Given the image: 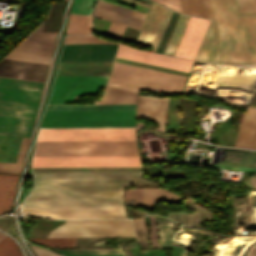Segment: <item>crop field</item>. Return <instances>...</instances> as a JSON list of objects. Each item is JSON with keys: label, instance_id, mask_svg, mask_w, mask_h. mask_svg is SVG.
<instances>
[{"label": "crop field", "instance_id": "22f410ed", "mask_svg": "<svg viewBox=\"0 0 256 256\" xmlns=\"http://www.w3.org/2000/svg\"><path fill=\"white\" fill-rule=\"evenodd\" d=\"M116 56L173 69L190 71L193 61L161 55L119 44Z\"/></svg>", "mask_w": 256, "mask_h": 256}, {"label": "crop field", "instance_id": "214f88e0", "mask_svg": "<svg viewBox=\"0 0 256 256\" xmlns=\"http://www.w3.org/2000/svg\"><path fill=\"white\" fill-rule=\"evenodd\" d=\"M56 35L33 32L13 51L51 56Z\"/></svg>", "mask_w": 256, "mask_h": 256}, {"label": "crop field", "instance_id": "d1516ede", "mask_svg": "<svg viewBox=\"0 0 256 256\" xmlns=\"http://www.w3.org/2000/svg\"><path fill=\"white\" fill-rule=\"evenodd\" d=\"M171 12L153 2L136 43L152 46L155 51Z\"/></svg>", "mask_w": 256, "mask_h": 256}, {"label": "crop field", "instance_id": "412701ff", "mask_svg": "<svg viewBox=\"0 0 256 256\" xmlns=\"http://www.w3.org/2000/svg\"><path fill=\"white\" fill-rule=\"evenodd\" d=\"M137 155L136 141L37 142L34 156Z\"/></svg>", "mask_w": 256, "mask_h": 256}, {"label": "crop field", "instance_id": "dafd665d", "mask_svg": "<svg viewBox=\"0 0 256 256\" xmlns=\"http://www.w3.org/2000/svg\"><path fill=\"white\" fill-rule=\"evenodd\" d=\"M194 60L220 64L212 22L210 21Z\"/></svg>", "mask_w": 256, "mask_h": 256}, {"label": "crop field", "instance_id": "00972430", "mask_svg": "<svg viewBox=\"0 0 256 256\" xmlns=\"http://www.w3.org/2000/svg\"><path fill=\"white\" fill-rule=\"evenodd\" d=\"M157 226L160 233V240L163 249L174 248L173 256H186L187 251L181 246L171 245L172 221L156 216Z\"/></svg>", "mask_w": 256, "mask_h": 256}, {"label": "crop field", "instance_id": "ae1a2a85", "mask_svg": "<svg viewBox=\"0 0 256 256\" xmlns=\"http://www.w3.org/2000/svg\"><path fill=\"white\" fill-rule=\"evenodd\" d=\"M91 16L70 14L65 34H90Z\"/></svg>", "mask_w": 256, "mask_h": 256}, {"label": "crop field", "instance_id": "e52e79f7", "mask_svg": "<svg viewBox=\"0 0 256 256\" xmlns=\"http://www.w3.org/2000/svg\"><path fill=\"white\" fill-rule=\"evenodd\" d=\"M49 237H135L130 220L66 221Z\"/></svg>", "mask_w": 256, "mask_h": 256}, {"label": "crop field", "instance_id": "f4fd0767", "mask_svg": "<svg viewBox=\"0 0 256 256\" xmlns=\"http://www.w3.org/2000/svg\"><path fill=\"white\" fill-rule=\"evenodd\" d=\"M135 111L46 112L41 127L135 126Z\"/></svg>", "mask_w": 256, "mask_h": 256}, {"label": "crop field", "instance_id": "5142ce71", "mask_svg": "<svg viewBox=\"0 0 256 256\" xmlns=\"http://www.w3.org/2000/svg\"><path fill=\"white\" fill-rule=\"evenodd\" d=\"M47 66L45 64L2 59L0 61V76L43 82Z\"/></svg>", "mask_w": 256, "mask_h": 256}, {"label": "crop field", "instance_id": "e1f06a70", "mask_svg": "<svg viewBox=\"0 0 256 256\" xmlns=\"http://www.w3.org/2000/svg\"><path fill=\"white\" fill-rule=\"evenodd\" d=\"M125 28H126L125 26L118 25L111 22L106 35L120 39Z\"/></svg>", "mask_w": 256, "mask_h": 256}, {"label": "crop field", "instance_id": "730fd06b", "mask_svg": "<svg viewBox=\"0 0 256 256\" xmlns=\"http://www.w3.org/2000/svg\"><path fill=\"white\" fill-rule=\"evenodd\" d=\"M185 14L212 19L209 0H180Z\"/></svg>", "mask_w": 256, "mask_h": 256}, {"label": "crop field", "instance_id": "c21b1889", "mask_svg": "<svg viewBox=\"0 0 256 256\" xmlns=\"http://www.w3.org/2000/svg\"><path fill=\"white\" fill-rule=\"evenodd\" d=\"M65 256H124L123 254H92V255H65Z\"/></svg>", "mask_w": 256, "mask_h": 256}, {"label": "crop field", "instance_id": "d32e631a", "mask_svg": "<svg viewBox=\"0 0 256 256\" xmlns=\"http://www.w3.org/2000/svg\"><path fill=\"white\" fill-rule=\"evenodd\" d=\"M5 58L6 59H14V60H22V61H29V62H37V63L48 64L50 57L11 52Z\"/></svg>", "mask_w": 256, "mask_h": 256}, {"label": "crop field", "instance_id": "28ad6ade", "mask_svg": "<svg viewBox=\"0 0 256 256\" xmlns=\"http://www.w3.org/2000/svg\"><path fill=\"white\" fill-rule=\"evenodd\" d=\"M33 167L140 166L137 156L34 157Z\"/></svg>", "mask_w": 256, "mask_h": 256}, {"label": "crop field", "instance_id": "4177f3b9", "mask_svg": "<svg viewBox=\"0 0 256 256\" xmlns=\"http://www.w3.org/2000/svg\"><path fill=\"white\" fill-rule=\"evenodd\" d=\"M17 177L0 175V214L10 209Z\"/></svg>", "mask_w": 256, "mask_h": 256}, {"label": "crop field", "instance_id": "028f5c9d", "mask_svg": "<svg viewBox=\"0 0 256 256\" xmlns=\"http://www.w3.org/2000/svg\"><path fill=\"white\" fill-rule=\"evenodd\" d=\"M60 254L122 253L120 249L54 250Z\"/></svg>", "mask_w": 256, "mask_h": 256}, {"label": "crop field", "instance_id": "1d83c4d3", "mask_svg": "<svg viewBox=\"0 0 256 256\" xmlns=\"http://www.w3.org/2000/svg\"><path fill=\"white\" fill-rule=\"evenodd\" d=\"M0 256H23L18 245L9 236L0 242Z\"/></svg>", "mask_w": 256, "mask_h": 256}, {"label": "crop field", "instance_id": "cbeb9de0", "mask_svg": "<svg viewBox=\"0 0 256 256\" xmlns=\"http://www.w3.org/2000/svg\"><path fill=\"white\" fill-rule=\"evenodd\" d=\"M145 13L99 1L94 17L106 19L131 28L140 29Z\"/></svg>", "mask_w": 256, "mask_h": 256}, {"label": "crop field", "instance_id": "dd49c442", "mask_svg": "<svg viewBox=\"0 0 256 256\" xmlns=\"http://www.w3.org/2000/svg\"><path fill=\"white\" fill-rule=\"evenodd\" d=\"M186 78L115 61L109 79L180 94Z\"/></svg>", "mask_w": 256, "mask_h": 256}, {"label": "crop field", "instance_id": "0bd39190", "mask_svg": "<svg viewBox=\"0 0 256 256\" xmlns=\"http://www.w3.org/2000/svg\"><path fill=\"white\" fill-rule=\"evenodd\" d=\"M242 13L256 12V0H239Z\"/></svg>", "mask_w": 256, "mask_h": 256}, {"label": "crop field", "instance_id": "3316defc", "mask_svg": "<svg viewBox=\"0 0 256 256\" xmlns=\"http://www.w3.org/2000/svg\"><path fill=\"white\" fill-rule=\"evenodd\" d=\"M24 215L49 219L124 218L123 207L22 208Z\"/></svg>", "mask_w": 256, "mask_h": 256}, {"label": "crop field", "instance_id": "d8731c3e", "mask_svg": "<svg viewBox=\"0 0 256 256\" xmlns=\"http://www.w3.org/2000/svg\"><path fill=\"white\" fill-rule=\"evenodd\" d=\"M135 140L134 128L40 129L37 141Z\"/></svg>", "mask_w": 256, "mask_h": 256}, {"label": "crop field", "instance_id": "d3111659", "mask_svg": "<svg viewBox=\"0 0 256 256\" xmlns=\"http://www.w3.org/2000/svg\"><path fill=\"white\" fill-rule=\"evenodd\" d=\"M189 18L190 17L188 16H182V15L179 16L176 26L174 28V31L172 33V36L164 52L165 54H169L173 56L175 55Z\"/></svg>", "mask_w": 256, "mask_h": 256}, {"label": "crop field", "instance_id": "5866460e", "mask_svg": "<svg viewBox=\"0 0 256 256\" xmlns=\"http://www.w3.org/2000/svg\"><path fill=\"white\" fill-rule=\"evenodd\" d=\"M75 43H114L93 36H66L64 44Z\"/></svg>", "mask_w": 256, "mask_h": 256}, {"label": "crop field", "instance_id": "d9b57169", "mask_svg": "<svg viewBox=\"0 0 256 256\" xmlns=\"http://www.w3.org/2000/svg\"><path fill=\"white\" fill-rule=\"evenodd\" d=\"M168 98H157L139 95L136 118H146L158 123V128L137 123L138 126H147L164 132Z\"/></svg>", "mask_w": 256, "mask_h": 256}, {"label": "crop field", "instance_id": "ac0d7876", "mask_svg": "<svg viewBox=\"0 0 256 256\" xmlns=\"http://www.w3.org/2000/svg\"><path fill=\"white\" fill-rule=\"evenodd\" d=\"M210 3L222 63L256 65V14L241 15L238 0Z\"/></svg>", "mask_w": 256, "mask_h": 256}, {"label": "crop field", "instance_id": "b80d0937", "mask_svg": "<svg viewBox=\"0 0 256 256\" xmlns=\"http://www.w3.org/2000/svg\"><path fill=\"white\" fill-rule=\"evenodd\" d=\"M156 1L182 13L179 0H156Z\"/></svg>", "mask_w": 256, "mask_h": 256}, {"label": "crop field", "instance_id": "b54c1fbb", "mask_svg": "<svg viewBox=\"0 0 256 256\" xmlns=\"http://www.w3.org/2000/svg\"><path fill=\"white\" fill-rule=\"evenodd\" d=\"M6 236H7V235H5V234H3V233L0 232V241H1L2 239H4Z\"/></svg>", "mask_w": 256, "mask_h": 256}, {"label": "crop field", "instance_id": "8a807250", "mask_svg": "<svg viewBox=\"0 0 256 256\" xmlns=\"http://www.w3.org/2000/svg\"><path fill=\"white\" fill-rule=\"evenodd\" d=\"M142 172L34 173L22 207L123 206V186H159Z\"/></svg>", "mask_w": 256, "mask_h": 256}, {"label": "crop field", "instance_id": "733c2abd", "mask_svg": "<svg viewBox=\"0 0 256 256\" xmlns=\"http://www.w3.org/2000/svg\"><path fill=\"white\" fill-rule=\"evenodd\" d=\"M209 21L191 17L175 56L193 60Z\"/></svg>", "mask_w": 256, "mask_h": 256}, {"label": "crop field", "instance_id": "a9b5d70f", "mask_svg": "<svg viewBox=\"0 0 256 256\" xmlns=\"http://www.w3.org/2000/svg\"><path fill=\"white\" fill-rule=\"evenodd\" d=\"M136 104L48 106L46 111L135 110Z\"/></svg>", "mask_w": 256, "mask_h": 256}, {"label": "crop field", "instance_id": "bd1437ed", "mask_svg": "<svg viewBox=\"0 0 256 256\" xmlns=\"http://www.w3.org/2000/svg\"><path fill=\"white\" fill-rule=\"evenodd\" d=\"M76 238H52V239H30L42 246L49 247H74Z\"/></svg>", "mask_w": 256, "mask_h": 256}, {"label": "crop field", "instance_id": "03da06ac", "mask_svg": "<svg viewBox=\"0 0 256 256\" xmlns=\"http://www.w3.org/2000/svg\"><path fill=\"white\" fill-rule=\"evenodd\" d=\"M126 1H129V2H132V3H135V4H138V5H141V6H144V7L149 8V5H146V4H143V3H140V2L135 1V0H126Z\"/></svg>", "mask_w": 256, "mask_h": 256}, {"label": "crop field", "instance_id": "5a996713", "mask_svg": "<svg viewBox=\"0 0 256 256\" xmlns=\"http://www.w3.org/2000/svg\"><path fill=\"white\" fill-rule=\"evenodd\" d=\"M108 76H56L48 104L77 102V96L96 94Z\"/></svg>", "mask_w": 256, "mask_h": 256}, {"label": "crop field", "instance_id": "120bbe31", "mask_svg": "<svg viewBox=\"0 0 256 256\" xmlns=\"http://www.w3.org/2000/svg\"><path fill=\"white\" fill-rule=\"evenodd\" d=\"M96 0H73L70 13L91 15Z\"/></svg>", "mask_w": 256, "mask_h": 256}, {"label": "crop field", "instance_id": "92a150f3", "mask_svg": "<svg viewBox=\"0 0 256 256\" xmlns=\"http://www.w3.org/2000/svg\"><path fill=\"white\" fill-rule=\"evenodd\" d=\"M235 147L256 149V109L243 113Z\"/></svg>", "mask_w": 256, "mask_h": 256}, {"label": "crop field", "instance_id": "c035e120", "mask_svg": "<svg viewBox=\"0 0 256 256\" xmlns=\"http://www.w3.org/2000/svg\"><path fill=\"white\" fill-rule=\"evenodd\" d=\"M31 248L34 250L37 256H58L50 251L44 250L40 247L32 246L30 245Z\"/></svg>", "mask_w": 256, "mask_h": 256}, {"label": "crop field", "instance_id": "bc2a9ffb", "mask_svg": "<svg viewBox=\"0 0 256 256\" xmlns=\"http://www.w3.org/2000/svg\"><path fill=\"white\" fill-rule=\"evenodd\" d=\"M125 198H135L136 206L155 208L160 200L176 203L179 196L158 188H131L124 192Z\"/></svg>", "mask_w": 256, "mask_h": 256}, {"label": "crop field", "instance_id": "34b2d1b8", "mask_svg": "<svg viewBox=\"0 0 256 256\" xmlns=\"http://www.w3.org/2000/svg\"><path fill=\"white\" fill-rule=\"evenodd\" d=\"M42 84L0 77V134L29 138Z\"/></svg>", "mask_w": 256, "mask_h": 256}, {"label": "crop field", "instance_id": "eef30255", "mask_svg": "<svg viewBox=\"0 0 256 256\" xmlns=\"http://www.w3.org/2000/svg\"><path fill=\"white\" fill-rule=\"evenodd\" d=\"M65 3H53L48 18L34 31L57 34Z\"/></svg>", "mask_w": 256, "mask_h": 256}, {"label": "crop field", "instance_id": "750c4746", "mask_svg": "<svg viewBox=\"0 0 256 256\" xmlns=\"http://www.w3.org/2000/svg\"><path fill=\"white\" fill-rule=\"evenodd\" d=\"M28 141H29V139L23 138L17 163H2V162H0V168L20 169L22 166L24 157H25ZM14 169H0V172H2V173H19L20 170H14Z\"/></svg>", "mask_w": 256, "mask_h": 256}, {"label": "crop field", "instance_id": "4a817a6b", "mask_svg": "<svg viewBox=\"0 0 256 256\" xmlns=\"http://www.w3.org/2000/svg\"><path fill=\"white\" fill-rule=\"evenodd\" d=\"M139 89L168 93L108 80L103 92L101 102H94V104L136 103Z\"/></svg>", "mask_w": 256, "mask_h": 256}]
</instances>
